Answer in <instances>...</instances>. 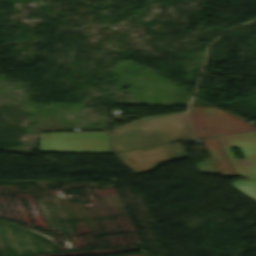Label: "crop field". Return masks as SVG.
<instances>
[{"instance_id":"crop-field-1","label":"crop field","mask_w":256,"mask_h":256,"mask_svg":"<svg viewBox=\"0 0 256 256\" xmlns=\"http://www.w3.org/2000/svg\"><path fill=\"white\" fill-rule=\"evenodd\" d=\"M111 152L191 138L186 114L156 117L109 132Z\"/></svg>"},{"instance_id":"crop-field-2","label":"crop field","mask_w":256,"mask_h":256,"mask_svg":"<svg viewBox=\"0 0 256 256\" xmlns=\"http://www.w3.org/2000/svg\"><path fill=\"white\" fill-rule=\"evenodd\" d=\"M40 151L110 152L108 132L39 133Z\"/></svg>"},{"instance_id":"crop-field-3","label":"crop field","mask_w":256,"mask_h":256,"mask_svg":"<svg viewBox=\"0 0 256 256\" xmlns=\"http://www.w3.org/2000/svg\"><path fill=\"white\" fill-rule=\"evenodd\" d=\"M189 114L195 138L256 130L255 127L216 106L191 107ZM201 128L206 129V131L201 132Z\"/></svg>"},{"instance_id":"crop-field-4","label":"crop field","mask_w":256,"mask_h":256,"mask_svg":"<svg viewBox=\"0 0 256 256\" xmlns=\"http://www.w3.org/2000/svg\"><path fill=\"white\" fill-rule=\"evenodd\" d=\"M114 155L134 173L153 170L161 162L187 157L179 143L115 153Z\"/></svg>"},{"instance_id":"crop-field-5","label":"crop field","mask_w":256,"mask_h":256,"mask_svg":"<svg viewBox=\"0 0 256 256\" xmlns=\"http://www.w3.org/2000/svg\"><path fill=\"white\" fill-rule=\"evenodd\" d=\"M237 175L256 179V132L217 136ZM228 146L240 147L246 158L235 159ZM247 162L251 163L247 167Z\"/></svg>"},{"instance_id":"crop-field-6","label":"crop field","mask_w":256,"mask_h":256,"mask_svg":"<svg viewBox=\"0 0 256 256\" xmlns=\"http://www.w3.org/2000/svg\"><path fill=\"white\" fill-rule=\"evenodd\" d=\"M220 174L235 176L233 170L224 157L215 137L203 138Z\"/></svg>"},{"instance_id":"crop-field-7","label":"crop field","mask_w":256,"mask_h":256,"mask_svg":"<svg viewBox=\"0 0 256 256\" xmlns=\"http://www.w3.org/2000/svg\"><path fill=\"white\" fill-rule=\"evenodd\" d=\"M233 187L240 190L250 198L256 201V180L252 181H234L231 183Z\"/></svg>"}]
</instances>
